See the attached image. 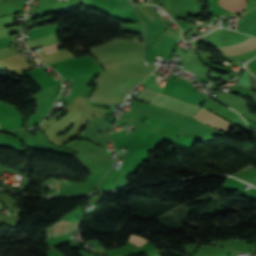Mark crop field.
Returning <instances> with one entry per match:
<instances>
[{"instance_id":"crop-field-3","label":"crop field","mask_w":256,"mask_h":256,"mask_svg":"<svg viewBox=\"0 0 256 256\" xmlns=\"http://www.w3.org/2000/svg\"><path fill=\"white\" fill-rule=\"evenodd\" d=\"M193 118L217 129L227 132L232 125H230L228 122L204 111L202 108L199 110V112L193 116Z\"/></svg>"},{"instance_id":"crop-field-4","label":"crop field","mask_w":256,"mask_h":256,"mask_svg":"<svg viewBox=\"0 0 256 256\" xmlns=\"http://www.w3.org/2000/svg\"><path fill=\"white\" fill-rule=\"evenodd\" d=\"M245 2L246 0H220L218 4L230 12L238 13L243 11Z\"/></svg>"},{"instance_id":"crop-field-5","label":"crop field","mask_w":256,"mask_h":256,"mask_svg":"<svg viewBox=\"0 0 256 256\" xmlns=\"http://www.w3.org/2000/svg\"><path fill=\"white\" fill-rule=\"evenodd\" d=\"M129 241L136 244L139 247L142 246V244L147 242L146 239L136 236V235H132V234H131V237L129 238Z\"/></svg>"},{"instance_id":"crop-field-1","label":"crop field","mask_w":256,"mask_h":256,"mask_svg":"<svg viewBox=\"0 0 256 256\" xmlns=\"http://www.w3.org/2000/svg\"><path fill=\"white\" fill-rule=\"evenodd\" d=\"M137 99L147 101L188 116L193 115L199 108L198 106L185 104L174 98L155 93L147 88L139 95Z\"/></svg>"},{"instance_id":"crop-field-8","label":"crop field","mask_w":256,"mask_h":256,"mask_svg":"<svg viewBox=\"0 0 256 256\" xmlns=\"http://www.w3.org/2000/svg\"><path fill=\"white\" fill-rule=\"evenodd\" d=\"M0 131H1V129H0Z\"/></svg>"},{"instance_id":"crop-field-7","label":"crop field","mask_w":256,"mask_h":256,"mask_svg":"<svg viewBox=\"0 0 256 256\" xmlns=\"http://www.w3.org/2000/svg\"><path fill=\"white\" fill-rule=\"evenodd\" d=\"M109 0H104V5L102 7V10H106L108 6Z\"/></svg>"},{"instance_id":"crop-field-6","label":"crop field","mask_w":256,"mask_h":256,"mask_svg":"<svg viewBox=\"0 0 256 256\" xmlns=\"http://www.w3.org/2000/svg\"><path fill=\"white\" fill-rule=\"evenodd\" d=\"M63 45L61 42L58 43V44H54V45H51V46H47V47H43L41 48L42 49V52L43 54H49V53H52V52H56V48Z\"/></svg>"},{"instance_id":"crop-field-2","label":"crop field","mask_w":256,"mask_h":256,"mask_svg":"<svg viewBox=\"0 0 256 256\" xmlns=\"http://www.w3.org/2000/svg\"><path fill=\"white\" fill-rule=\"evenodd\" d=\"M217 48L225 56H235L256 49V39L250 37L242 43Z\"/></svg>"}]
</instances>
